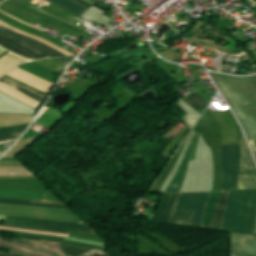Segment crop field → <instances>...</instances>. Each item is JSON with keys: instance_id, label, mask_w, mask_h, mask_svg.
<instances>
[{"instance_id": "dafd665d", "label": "crop field", "mask_w": 256, "mask_h": 256, "mask_svg": "<svg viewBox=\"0 0 256 256\" xmlns=\"http://www.w3.org/2000/svg\"><path fill=\"white\" fill-rule=\"evenodd\" d=\"M189 100L190 103H188L192 108H194L195 110L202 108L204 106L208 105V101H206L204 98H202L199 94H197L196 92L193 93L191 96H189L187 98ZM185 99V100H187ZM184 100V101H185Z\"/></svg>"}, {"instance_id": "733c2abd", "label": "crop field", "mask_w": 256, "mask_h": 256, "mask_svg": "<svg viewBox=\"0 0 256 256\" xmlns=\"http://www.w3.org/2000/svg\"><path fill=\"white\" fill-rule=\"evenodd\" d=\"M228 191L222 193L210 227L222 228Z\"/></svg>"}, {"instance_id": "ac0d7876", "label": "crop field", "mask_w": 256, "mask_h": 256, "mask_svg": "<svg viewBox=\"0 0 256 256\" xmlns=\"http://www.w3.org/2000/svg\"><path fill=\"white\" fill-rule=\"evenodd\" d=\"M256 223V190L229 191L223 228L253 235Z\"/></svg>"}, {"instance_id": "5142ce71", "label": "crop field", "mask_w": 256, "mask_h": 256, "mask_svg": "<svg viewBox=\"0 0 256 256\" xmlns=\"http://www.w3.org/2000/svg\"><path fill=\"white\" fill-rule=\"evenodd\" d=\"M222 192H210L202 226L209 227Z\"/></svg>"}, {"instance_id": "d3111659", "label": "crop field", "mask_w": 256, "mask_h": 256, "mask_svg": "<svg viewBox=\"0 0 256 256\" xmlns=\"http://www.w3.org/2000/svg\"><path fill=\"white\" fill-rule=\"evenodd\" d=\"M4 77H6V78H8V79H10V80H12V81H14V82L20 84V85H23V86H25V87H27V88L33 90V91H36V92H38V93H40V94H42V95H44V96L46 95V93H44V92H42V91H40V90L34 89V88H32V87H30V86H28V85H26V84H24V83H22V82H20V81H18V80H15V79H13V78L7 76V75H5Z\"/></svg>"}, {"instance_id": "22f410ed", "label": "crop field", "mask_w": 256, "mask_h": 256, "mask_svg": "<svg viewBox=\"0 0 256 256\" xmlns=\"http://www.w3.org/2000/svg\"><path fill=\"white\" fill-rule=\"evenodd\" d=\"M178 193L164 194L155 221L167 223Z\"/></svg>"}, {"instance_id": "028f5c9d", "label": "crop field", "mask_w": 256, "mask_h": 256, "mask_svg": "<svg viewBox=\"0 0 256 256\" xmlns=\"http://www.w3.org/2000/svg\"><path fill=\"white\" fill-rule=\"evenodd\" d=\"M4 51H6V50L0 48V54L3 53Z\"/></svg>"}, {"instance_id": "0bd39190", "label": "crop field", "mask_w": 256, "mask_h": 256, "mask_svg": "<svg viewBox=\"0 0 256 256\" xmlns=\"http://www.w3.org/2000/svg\"><path fill=\"white\" fill-rule=\"evenodd\" d=\"M4 152H1L0 155H2Z\"/></svg>"}, {"instance_id": "e1f06a70", "label": "crop field", "mask_w": 256, "mask_h": 256, "mask_svg": "<svg viewBox=\"0 0 256 256\" xmlns=\"http://www.w3.org/2000/svg\"><path fill=\"white\" fill-rule=\"evenodd\" d=\"M7 52H8V51H6V52H4L3 54H1L0 57L3 56L4 54H6Z\"/></svg>"}, {"instance_id": "120bbe31", "label": "crop field", "mask_w": 256, "mask_h": 256, "mask_svg": "<svg viewBox=\"0 0 256 256\" xmlns=\"http://www.w3.org/2000/svg\"><path fill=\"white\" fill-rule=\"evenodd\" d=\"M0 12H2V13H4V14H6V15H8V16H10V17H12V18H14V19H16V20H18V21H21V20H19V19L15 18V17H13V16H11V15H9V14H7V13H5V12L1 11V10H0ZM21 22H23V21H21ZM23 23H25V22H23ZM25 24H27V23H25ZM27 25H29V26H31V27H33V28H35V29H38V30H41V31H43V32H44V30L39 29V28H37V27H34V26L30 25V24H27Z\"/></svg>"}, {"instance_id": "ae1a2a85", "label": "crop field", "mask_w": 256, "mask_h": 256, "mask_svg": "<svg viewBox=\"0 0 256 256\" xmlns=\"http://www.w3.org/2000/svg\"><path fill=\"white\" fill-rule=\"evenodd\" d=\"M0 203H11V204L37 205V206H47V207H60V208H65L64 206H57V205L34 204V203H20V202H9V201H0Z\"/></svg>"}, {"instance_id": "d9b57169", "label": "crop field", "mask_w": 256, "mask_h": 256, "mask_svg": "<svg viewBox=\"0 0 256 256\" xmlns=\"http://www.w3.org/2000/svg\"><path fill=\"white\" fill-rule=\"evenodd\" d=\"M28 60L21 58L12 53L6 54L4 57L0 59V77L13 69L14 67L26 62Z\"/></svg>"}, {"instance_id": "5a996713", "label": "crop field", "mask_w": 256, "mask_h": 256, "mask_svg": "<svg viewBox=\"0 0 256 256\" xmlns=\"http://www.w3.org/2000/svg\"><path fill=\"white\" fill-rule=\"evenodd\" d=\"M256 188V167L248 148L242 147L238 189Z\"/></svg>"}, {"instance_id": "5866460e", "label": "crop field", "mask_w": 256, "mask_h": 256, "mask_svg": "<svg viewBox=\"0 0 256 256\" xmlns=\"http://www.w3.org/2000/svg\"><path fill=\"white\" fill-rule=\"evenodd\" d=\"M252 150H253L254 156L256 158V149H252Z\"/></svg>"}, {"instance_id": "4177f3b9", "label": "crop field", "mask_w": 256, "mask_h": 256, "mask_svg": "<svg viewBox=\"0 0 256 256\" xmlns=\"http://www.w3.org/2000/svg\"><path fill=\"white\" fill-rule=\"evenodd\" d=\"M0 200L22 201V202H35V203H47V204H58V205H62L61 202H49V201H35V200L8 199V198H0Z\"/></svg>"}, {"instance_id": "92a150f3", "label": "crop field", "mask_w": 256, "mask_h": 256, "mask_svg": "<svg viewBox=\"0 0 256 256\" xmlns=\"http://www.w3.org/2000/svg\"><path fill=\"white\" fill-rule=\"evenodd\" d=\"M0 81L5 83V84H7L11 88H13V89H15L17 91H20V92H22V93H24V94H26V95H28V96L38 100V101H40V102L44 99L43 96H41V95H39V94L29 90V89H26V88H24V87H22V86H20V85H18L16 83H14V82H11V81L3 78V77L0 78Z\"/></svg>"}, {"instance_id": "d1516ede", "label": "crop field", "mask_w": 256, "mask_h": 256, "mask_svg": "<svg viewBox=\"0 0 256 256\" xmlns=\"http://www.w3.org/2000/svg\"><path fill=\"white\" fill-rule=\"evenodd\" d=\"M0 31L10 35L11 37H13V38H15L17 40H20V41L25 42V43H27L29 45H32V46H34L36 48H39V49H41V50H43L45 52H48V53L52 54L55 57L65 56L63 53H61L59 51H56V50L48 47L47 45H45V44H43V43H41V42H39L37 40H34L32 38H29V37H26L24 35H21V34L13 31L11 29H8V28L2 26V25H0Z\"/></svg>"}, {"instance_id": "bd1437ed", "label": "crop field", "mask_w": 256, "mask_h": 256, "mask_svg": "<svg viewBox=\"0 0 256 256\" xmlns=\"http://www.w3.org/2000/svg\"><path fill=\"white\" fill-rule=\"evenodd\" d=\"M13 143L14 142L0 145V151H6Z\"/></svg>"}, {"instance_id": "28ad6ade", "label": "crop field", "mask_w": 256, "mask_h": 256, "mask_svg": "<svg viewBox=\"0 0 256 256\" xmlns=\"http://www.w3.org/2000/svg\"><path fill=\"white\" fill-rule=\"evenodd\" d=\"M8 75H10L28 85H31L37 89L43 90L47 93L50 91V89L53 86V83H50L48 81L42 80L38 77H35V76L19 69L18 67L13 69L11 72H9Z\"/></svg>"}, {"instance_id": "750c4746", "label": "crop field", "mask_w": 256, "mask_h": 256, "mask_svg": "<svg viewBox=\"0 0 256 256\" xmlns=\"http://www.w3.org/2000/svg\"><path fill=\"white\" fill-rule=\"evenodd\" d=\"M0 231L15 232V233H19V234L33 235V236H42V237H50V238L64 239V238H62V237H55V236H48V235H39V234L23 233V232L8 231V230H0Z\"/></svg>"}, {"instance_id": "34b2d1b8", "label": "crop field", "mask_w": 256, "mask_h": 256, "mask_svg": "<svg viewBox=\"0 0 256 256\" xmlns=\"http://www.w3.org/2000/svg\"><path fill=\"white\" fill-rule=\"evenodd\" d=\"M208 193L179 194L169 222L201 226Z\"/></svg>"}, {"instance_id": "cbeb9de0", "label": "crop field", "mask_w": 256, "mask_h": 256, "mask_svg": "<svg viewBox=\"0 0 256 256\" xmlns=\"http://www.w3.org/2000/svg\"><path fill=\"white\" fill-rule=\"evenodd\" d=\"M62 248L67 256H109L108 254L101 251L64 243H62Z\"/></svg>"}, {"instance_id": "1d83c4d3", "label": "crop field", "mask_w": 256, "mask_h": 256, "mask_svg": "<svg viewBox=\"0 0 256 256\" xmlns=\"http://www.w3.org/2000/svg\"><path fill=\"white\" fill-rule=\"evenodd\" d=\"M73 1H75V2H77V3H79V4H81V5H83V6L87 7V8H89V9L92 7V5L86 3V2H84V1H82V0H73Z\"/></svg>"}, {"instance_id": "dd49c442", "label": "crop field", "mask_w": 256, "mask_h": 256, "mask_svg": "<svg viewBox=\"0 0 256 256\" xmlns=\"http://www.w3.org/2000/svg\"><path fill=\"white\" fill-rule=\"evenodd\" d=\"M239 146L222 147V187L221 190L237 189L240 169Z\"/></svg>"}, {"instance_id": "e52e79f7", "label": "crop field", "mask_w": 256, "mask_h": 256, "mask_svg": "<svg viewBox=\"0 0 256 256\" xmlns=\"http://www.w3.org/2000/svg\"><path fill=\"white\" fill-rule=\"evenodd\" d=\"M6 223L38 227V228L72 230V231H80V232L97 234L91 228H89L85 223L50 221V220L23 218V217H10V216H6Z\"/></svg>"}, {"instance_id": "412701ff", "label": "crop field", "mask_w": 256, "mask_h": 256, "mask_svg": "<svg viewBox=\"0 0 256 256\" xmlns=\"http://www.w3.org/2000/svg\"><path fill=\"white\" fill-rule=\"evenodd\" d=\"M0 215L26 216L50 220L83 222L69 209L60 208L0 204Z\"/></svg>"}, {"instance_id": "d32e631a", "label": "crop field", "mask_w": 256, "mask_h": 256, "mask_svg": "<svg viewBox=\"0 0 256 256\" xmlns=\"http://www.w3.org/2000/svg\"><path fill=\"white\" fill-rule=\"evenodd\" d=\"M0 256H23V255H18V254H15L13 252L9 253V254H4V253H1L0 252Z\"/></svg>"}, {"instance_id": "a9b5d70f", "label": "crop field", "mask_w": 256, "mask_h": 256, "mask_svg": "<svg viewBox=\"0 0 256 256\" xmlns=\"http://www.w3.org/2000/svg\"><path fill=\"white\" fill-rule=\"evenodd\" d=\"M0 175H33L28 170H0Z\"/></svg>"}, {"instance_id": "730fd06b", "label": "crop field", "mask_w": 256, "mask_h": 256, "mask_svg": "<svg viewBox=\"0 0 256 256\" xmlns=\"http://www.w3.org/2000/svg\"><path fill=\"white\" fill-rule=\"evenodd\" d=\"M0 228H2V229L16 230V231H24V232H31V233H39V234H48V235H55V236L67 237V235H63V234H54V233L39 232V231L24 230V229H16V228H5V227H0Z\"/></svg>"}, {"instance_id": "f4fd0767", "label": "crop field", "mask_w": 256, "mask_h": 256, "mask_svg": "<svg viewBox=\"0 0 256 256\" xmlns=\"http://www.w3.org/2000/svg\"><path fill=\"white\" fill-rule=\"evenodd\" d=\"M0 247L27 256H65L60 243L15 239L12 242L1 240Z\"/></svg>"}, {"instance_id": "3316defc", "label": "crop field", "mask_w": 256, "mask_h": 256, "mask_svg": "<svg viewBox=\"0 0 256 256\" xmlns=\"http://www.w3.org/2000/svg\"><path fill=\"white\" fill-rule=\"evenodd\" d=\"M232 256H256V237L233 233Z\"/></svg>"}, {"instance_id": "214f88e0", "label": "crop field", "mask_w": 256, "mask_h": 256, "mask_svg": "<svg viewBox=\"0 0 256 256\" xmlns=\"http://www.w3.org/2000/svg\"><path fill=\"white\" fill-rule=\"evenodd\" d=\"M0 90L5 92L6 94L18 99V100L26 103V104L34 107V108H36V106L38 105V102H36V101H34V100H32V99H30V98H28V97H26V96H24L20 93L8 88L7 86L3 85L2 83H0Z\"/></svg>"}, {"instance_id": "d8731c3e", "label": "crop field", "mask_w": 256, "mask_h": 256, "mask_svg": "<svg viewBox=\"0 0 256 256\" xmlns=\"http://www.w3.org/2000/svg\"><path fill=\"white\" fill-rule=\"evenodd\" d=\"M0 46L31 60L42 59L46 57H53L47 53H44L36 48L21 43L3 33L0 32Z\"/></svg>"}, {"instance_id": "00972430", "label": "crop field", "mask_w": 256, "mask_h": 256, "mask_svg": "<svg viewBox=\"0 0 256 256\" xmlns=\"http://www.w3.org/2000/svg\"><path fill=\"white\" fill-rule=\"evenodd\" d=\"M0 23L3 24V25H5V26L8 27V28H11V29H13V30H15V31H17V32H19V33H21V34H24V35L29 36V37H32V38H34V39L40 40V41L44 42L45 44L49 45L50 47H52V48H54V49H57V50L63 52V53H64L65 55H67V56L74 55V54H72V53H70V52H68V51H66V50H64V49H61V48H59V47H57V46H55V45H53V44H51V43H49V42L43 40V39H40V38L35 37V36H32V35H30V34H27V33L23 32V31L17 29V28H14V27H12V26L6 24L5 22H3V21H1V20H0Z\"/></svg>"}, {"instance_id": "eef30255", "label": "crop field", "mask_w": 256, "mask_h": 256, "mask_svg": "<svg viewBox=\"0 0 256 256\" xmlns=\"http://www.w3.org/2000/svg\"><path fill=\"white\" fill-rule=\"evenodd\" d=\"M6 227H16V228H24V229H32V230H40V231H47V232H54V233H63L66 234L63 231H58V230H47V229H38V228H31V227H23V226H15V225H2Z\"/></svg>"}, {"instance_id": "4a817a6b", "label": "crop field", "mask_w": 256, "mask_h": 256, "mask_svg": "<svg viewBox=\"0 0 256 256\" xmlns=\"http://www.w3.org/2000/svg\"><path fill=\"white\" fill-rule=\"evenodd\" d=\"M29 124L0 128V141L19 138Z\"/></svg>"}, {"instance_id": "8a807250", "label": "crop field", "mask_w": 256, "mask_h": 256, "mask_svg": "<svg viewBox=\"0 0 256 256\" xmlns=\"http://www.w3.org/2000/svg\"><path fill=\"white\" fill-rule=\"evenodd\" d=\"M235 110L252 147H256V76L233 77L210 73Z\"/></svg>"}, {"instance_id": "bc2a9ffb", "label": "crop field", "mask_w": 256, "mask_h": 256, "mask_svg": "<svg viewBox=\"0 0 256 256\" xmlns=\"http://www.w3.org/2000/svg\"><path fill=\"white\" fill-rule=\"evenodd\" d=\"M49 1H51L52 3L66 9L70 12L76 13L80 16L89 10L87 8H84V7L74 3L71 0H49Z\"/></svg>"}]
</instances>
